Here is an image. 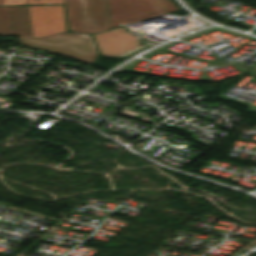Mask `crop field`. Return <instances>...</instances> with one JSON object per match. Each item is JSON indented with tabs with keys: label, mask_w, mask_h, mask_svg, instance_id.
Wrapping results in <instances>:
<instances>
[{
	"label": "crop field",
	"mask_w": 256,
	"mask_h": 256,
	"mask_svg": "<svg viewBox=\"0 0 256 256\" xmlns=\"http://www.w3.org/2000/svg\"><path fill=\"white\" fill-rule=\"evenodd\" d=\"M69 31L93 34L111 29L106 0H65Z\"/></svg>",
	"instance_id": "ac0d7876"
},
{
	"label": "crop field",
	"mask_w": 256,
	"mask_h": 256,
	"mask_svg": "<svg viewBox=\"0 0 256 256\" xmlns=\"http://www.w3.org/2000/svg\"><path fill=\"white\" fill-rule=\"evenodd\" d=\"M0 5H6L5 0H0ZM0 33L10 35L6 7H0Z\"/></svg>",
	"instance_id": "dd49c442"
},
{
	"label": "crop field",
	"mask_w": 256,
	"mask_h": 256,
	"mask_svg": "<svg viewBox=\"0 0 256 256\" xmlns=\"http://www.w3.org/2000/svg\"><path fill=\"white\" fill-rule=\"evenodd\" d=\"M93 37L101 55L122 57L139 48L138 37L125 26Z\"/></svg>",
	"instance_id": "f4fd0767"
},
{
	"label": "crop field",
	"mask_w": 256,
	"mask_h": 256,
	"mask_svg": "<svg viewBox=\"0 0 256 256\" xmlns=\"http://www.w3.org/2000/svg\"><path fill=\"white\" fill-rule=\"evenodd\" d=\"M28 4L60 3V6H28L33 37L66 31L64 0H27Z\"/></svg>",
	"instance_id": "412701ff"
},
{
	"label": "crop field",
	"mask_w": 256,
	"mask_h": 256,
	"mask_svg": "<svg viewBox=\"0 0 256 256\" xmlns=\"http://www.w3.org/2000/svg\"><path fill=\"white\" fill-rule=\"evenodd\" d=\"M112 26L177 11L171 0H107Z\"/></svg>",
	"instance_id": "34b2d1b8"
},
{
	"label": "crop field",
	"mask_w": 256,
	"mask_h": 256,
	"mask_svg": "<svg viewBox=\"0 0 256 256\" xmlns=\"http://www.w3.org/2000/svg\"><path fill=\"white\" fill-rule=\"evenodd\" d=\"M7 5L27 4L26 0H6Z\"/></svg>",
	"instance_id": "e52e79f7"
},
{
	"label": "crop field",
	"mask_w": 256,
	"mask_h": 256,
	"mask_svg": "<svg viewBox=\"0 0 256 256\" xmlns=\"http://www.w3.org/2000/svg\"><path fill=\"white\" fill-rule=\"evenodd\" d=\"M7 10L11 35L19 36L22 45L94 63L97 51L90 35L61 33L32 38L27 6L7 7Z\"/></svg>",
	"instance_id": "8a807250"
}]
</instances>
